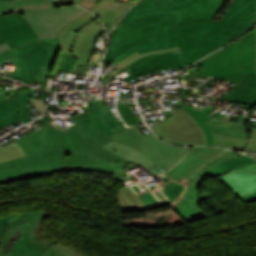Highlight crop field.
<instances>
[{
    "label": "crop field",
    "instance_id": "crop-field-1",
    "mask_svg": "<svg viewBox=\"0 0 256 256\" xmlns=\"http://www.w3.org/2000/svg\"><path fill=\"white\" fill-rule=\"evenodd\" d=\"M89 103L85 113L69 116L74 123L64 130L50 114L38 119L44 129L16 140L27 157L0 162V183L67 170L114 174L120 181L129 161L168 170L185 155L186 147L168 145L153 134L143 136L135 126L108 137L92 121L95 108Z\"/></svg>",
    "mask_w": 256,
    "mask_h": 256
},
{
    "label": "crop field",
    "instance_id": "crop-field-2",
    "mask_svg": "<svg viewBox=\"0 0 256 256\" xmlns=\"http://www.w3.org/2000/svg\"><path fill=\"white\" fill-rule=\"evenodd\" d=\"M255 9L256 0H233L220 21L172 27L168 39L177 38L184 68L253 27Z\"/></svg>",
    "mask_w": 256,
    "mask_h": 256
},
{
    "label": "crop field",
    "instance_id": "crop-field-3",
    "mask_svg": "<svg viewBox=\"0 0 256 256\" xmlns=\"http://www.w3.org/2000/svg\"><path fill=\"white\" fill-rule=\"evenodd\" d=\"M192 66H203L196 75H209L237 83L246 72L256 70V40L254 29L233 44L206 57Z\"/></svg>",
    "mask_w": 256,
    "mask_h": 256
},
{
    "label": "crop field",
    "instance_id": "crop-field-4",
    "mask_svg": "<svg viewBox=\"0 0 256 256\" xmlns=\"http://www.w3.org/2000/svg\"><path fill=\"white\" fill-rule=\"evenodd\" d=\"M226 0H142L117 24L136 21L145 17L174 15L173 24L212 20Z\"/></svg>",
    "mask_w": 256,
    "mask_h": 256
},
{
    "label": "crop field",
    "instance_id": "crop-field-5",
    "mask_svg": "<svg viewBox=\"0 0 256 256\" xmlns=\"http://www.w3.org/2000/svg\"><path fill=\"white\" fill-rule=\"evenodd\" d=\"M48 214L41 211L6 215L9 223L0 243V256H39L49 245L34 239V229Z\"/></svg>",
    "mask_w": 256,
    "mask_h": 256
},
{
    "label": "crop field",
    "instance_id": "crop-field-6",
    "mask_svg": "<svg viewBox=\"0 0 256 256\" xmlns=\"http://www.w3.org/2000/svg\"><path fill=\"white\" fill-rule=\"evenodd\" d=\"M18 68L14 78L25 83L34 79L44 83L58 49L44 44L41 40L12 49ZM29 84V85H30Z\"/></svg>",
    "mask_w": 256,
    "mask_h": 256
},
{
    "label": "crop field",
    "instance_id": "crop-field-7",
    "mask_svg": "<svg viewBox=\"0 0 256 256\" xmlns=\"http://www.w3.org/2000/svg\"><path fill=\"white\" fill-rule=\"evenodd\" d=\"M162 140L180 145H206V136L193 117L179 109L171 117L150 127Z\"/></svg>",
    "mask_w": 256,
    "mask_h": 256
},
{
    "label": "crop field",
    "instance_id": "crop-field-8",
    "mask_svg": "<svg viewBox=\"0 0 256 256\" xmlns=\"http://www.w3.org/2000/svg\"><path fill=\"white\" fill-rule=\"evenodd\" d=\"M157 21L158 17L146 18L113 29L104 61L110 62L130 48L152 41Z\"/></svg>",
    "mask_w": 256,
    "mask_h": 256
},
{
    "label": "crop field",
    "instance_id": "crop-field-9",
    "mask_svg": "<svg viewBox=\"0 0 256 256\" xmlns=\"http://www.w3.org/2000/svg\"><path fill=\"white\" fill-rule=\"evenodd\" d=\"M89 11L78 6L48 8L24 13L26 19L38 34L40 39L57 37V33L70 21Z\"/></svg>",
    "mask_w": 256,
    "mask_h": 256
},
{
    "label": "crop field",
    "instance_id": "crop-field-10",
    "mask_svg": "<svg viewBox=\"0 0 256 256\" xmlns=\"http://www.w3.org/2000/svg\"><path fill=\"white\" fill-rule=\"evenodd\" d=\"M0 34L10 48L39 39L23 13L20 12L0 16Z\"/></svg>",
    "mask_w": 256,
    "mask_h": 256
},
{
    "label": "crop field",
    "instance_id": "crop-field-11",
    "mask_svg": "<svg viewBox=\"0 0 256 256\" xmlns=\"http://www.w3.org/2000/svg\"><path fill=\"white\" fill-rule=\"evenodd\" d=\"M127 67L131 69L133 74L127 76L124 79L130 81L136 77L148 75L153 72L163 71L165 69L170 70L182 68L183 65L180 53L177 51L171 53L149 55L135 61Z\"/></svg>",
    "mask_w": 256,
    "mask_h": 256
},
{
    "label": "crop field",
    "instance_id": "crop-field-12",
    "mask_svg": "<svg viewBox=\"0 0 256 256\" xmlns=\"http://www.w3.org/2000/svg\"><path fill=\"white\" fill-rule=\"evenodd\" d=\"M238 197L256 192V163L238 167L219 177Z\"/></svg>",
    "mask_w": 256,
    "mask_h": 256
},
{
    "label": "crop field",
    "instance_id": "crop-field-13",
    "mask_svg": "<svg viewBox=\"0 0 256 256\" xmlns=\"http://www.w3.org/2000/svg\"><path fill=\"white\" fill-rule=\"evenodd\" d=\"M185 185L188 187L178 201L172 205L168 200L164 202L170 205L186 223L206 218L205 214L199 208L201 198L197 189L200 184L192 180Z\"/></svg>",
    "mask_w": 256,
    "mask_h": 256
},
{
    "label": "crop field",
    "instance_id": "crop-field-14",
    "mask_svg": "<svg viewBox=\"0 0 256 256\" xmlns=\"http://www.w3.org/2000/svg\"><path fill=\"white\" fill-rule=\"evenodd\" d=\"M100 27L98 19L81 27L77 33L75 43L72 49V55L78 58L74 71L76 70L78 64L88 65L89 59L94 49V44L97 36L102 33V29L96 30L89 38L92 31Z\"/></svg>",
    "mask_w": 256,
    "mask_h": 256
},
{
    "label": "crop field",
    "instance_id": "crop-field-15",
    "mask_svg": "<svg viewBox=\"0 0 256 256\" xmlns=\"http://www.w3.org/2000/svg\"><path fill=\"white\" fill-rule=\"evenodd\" d=\"M221 150L222 149L220 148L193 147L192 150L175 167L165 174L178 181Z\"/></svg>",
    "mask_w": 256,
    "mask_h": 256
},
{
    "label": "crop field",
    "instance_id": "crop-field-16",
    "mask_svg": "<svg viewBox=\"0 0 256 256\" xmlns=\"http://www.w3.org/2000/svg\"><path fill=\"white\" fill-rule=\"evenodd\" d=\"M173 16H162L159 18L157 31L155 35V39L153 42L142 44L137 46L123 55L117 57L114 63H118L123 57L127 56L128 54L138 51L139 53L149 51V50H156V49H163V48H171L176 47L177 41L176 39L167 40L168 34L171 28Z\"/></svg>",
    "mask_w": 256,
    "mask_h": 256
},
{
    "label": "crop field",
    "instance_id": "crop-field-17",
    "mask_svg": "<svg viewBox=\"0 0 256 256\" xmlns=\"http://www.w3.org/2000/svg\"><path fill=\"white\" fill-rule=\"evenodd\" d=\"M136 1L118 2L116 0H101L91 11L101 18L108 35L114 24Z\"/></svg>",
    "mask_w": 256,
    "mask_h": 256
},
{
    "label": "crop field",
    "instance_id": "crop-field-18",
    "mask_svg": "<svg viewBox=\"0 0 256 256\" xmlns=\"http://www.w3.org/2000/svg\"><path fill=\"white\" fill-rule=\"evenodd\" d=\"M97 18L94 14L88 13L70 23H68L59 33L58 38L42 40L44 43L62 49V51L71 55V49L74 43L75 35L79 28L91 20Z\"/></svg>",
    "mask_w": 256,
    "mask_h": 256
},
{
    "label": "crop field",
    "instance_id": "crop-field-19",
    "mask_svg": "<svg viewBox=\"0 0 256 256\" xmlns=\"http://www.w3.org/2000/svg\"><path fill=\"white\" fill-rule=\"evenodd\" d=\"M222 99L245 103L247 105L244 109L250 110L256 104V73H246V77L242 82L222 97Z\"/></svg>",
    "mask_w": 256,
    "mask_h": 256
},
{
    "label": "crop field",
    "instance_id": "crop-field-20",
    "mask_svg": "<svg viewBox=\"0 0 256 256\" xmlns=\"http://www.w3.org/2000/svg\"><path fill=\"white\" fill-rule=\"evenodd\" d=\"M55 2V0H10L0 2V15L16 11L27 12L53 7Z\"/></svg>",
    "mask_w": 256,
    "mask_h": 256
},
{
    "label": "crop field",
    "instance_id": "crop-field-21",
    "mask_svg": "<svg viewBox=\"0 0 256 256\" xmlns=\"http://www.w3.org/2000/svg\"><path fill=\"white\" fill-rule=\"evenodd\" d=\"M114 197L122 212L128 210H138L142 212L166 205L164 202H160L145 207L129 186L122 188Z\"/></svg>",
    "mask_w": 256,
    "mask_h": 256
},
{
    "label": "crop field",
    "instance_id": "crop-field-22",
    "mask_svg": "<svg viewBox=\"0 0 256 256\" xmlns=\"http://www.w3.org/2000/svg\"><path fill=\"white\" fill-rule=\"evenodd\" d=\"M247 119V117L241 116L237 124L214 119H211L207 123L209 124L212 133L247 139L246 131L244 129V123Z\"/></svg>",
    "mask_w": 256,
    "mask_h": 256
},
{
    "label": "crop field",
    "instance_id": "crop-field-23",
    "mask_svg": "<svg viewBox=\"0 0 256 256\" xmlns=\"http://www.w3.org/2000/svg\"><path fill=\"white\" fill-rule=\"evenodd\" d=\"M181 108H183L184 110H186L187 112H189L191 115H193V117L196 119V121L199 123V125L202 127V129L204 130L206 136H207V145L209 146H213V137H212V133L209 129V126L207 125V121L210 120L211 118L205 116L206 114H208L209 112H211V110L214 108L212 106H208L206 107L204 110L200 111L198 109H195L193 107H189L187 105H183Z\"/></svg>",
    "mask_w": 256,
    "mask_h": 256
},
{
    "label": "crop field",
    "instance_id": "crop-field-24",
    "mask_svg": "<svg viewBox=\"0 0 256 256\" xmlns=\"http://www.w3.org/2000/svg\"><path fill=\"white\" fill-rule=\"evenodd\" d=\"M99 107V115L107 127L113 131L114 133L125 129V127L121 124V122L114 116L111 111L110 100L107 102H103L98 104Z\"/></svg>",
    "mask_w": 256,
    "mask_h": 256
},
{
    "label": "crop field",
    "instance_id": "crop-field-25",
    "mask_svg": "<svg viewBox=\"0 0 256 256\" xmlns=\"http://www.w3.org/2000/svg\"><path fill=\"white\" fill-rule=\"evenodd\" d=\"M14 104L15 99L0 101V128L20 121V118L14 109Z\"/></svg>",
    "mask_w": 256,
    "mask_h": 256
},
{
    "label": "crop field",
    "instance_id": "crop-field-26",
    "mask_svg": "<svg viewBox=\"0 0 256 256\" xmlns=\"http://www.w3.org/2000/svg\"><path fill=\"white\" fill-rule=\"evenodd\" d=\"M29 89H23V90H18L17 91V97H16V105L15 108L20 115L22 121L26 124L32 119H30L27 115L33 113L28 107H26L25 103L28 101L29 97L32 98H37L31 96L32 93L34 92V89H31L30 92H28Z\"/></svg>",
    "mask_w": 256,
    "mask_h": 256
},
{
    "label": "crop field",
    "instance_id": "crop-field-27",
    "mask_svg": "<svg viewBox=\"0 0 256 256\" xmlns=\"http://www.w3.org/2000/svg\"><path fill=\"white\" fill-rule=\"evenodd\" d=\"M253 162H256V160H254L248 156L233 158L231 160H228V161L222 163L215 169H213L209 175L216 178V177L223 175L224 173H226L227 171H229L231 169H234L241 165L253 163Z\"/></svg>",
    "mask_w": 256,
    "mask_h": 256
},
{
    "label": "crop field",
    "instance_id": "crop-field-28",
    "mask_svg": "<svg viewBox=\"0 0 256 256\" xmlns=\"http://www.w3.org/2000/svg\"><path fill=\"white\" fill-rule=\"evenodd\" d=\"M24 156L21 146L15 141L4 147L0 145V161L2 162Z\"/></svg>",
    "mask_w": 256,
    "mask_h": 256
},
{
    "label": "crop field",
    "instance_id": "crop-field-29",
    "mask_svg": "<svg viewBox=\"0 0 256 256\" xmlns=\"http://www.w3.org/2000/svg\"><path fill=\"white\" fill-rule=\"evenodd\" d=\"M213 137H214V146H220V147L229 148V149L238 148L242 150L245 143L248 141L245 139L221 136L216 134H213Z\"/></svg>",
    "mask_w": 256,
    "mask_h": 256
},
{
    "label": "crop field",
    "instance_id": "crop-field-30",
    "mask_svg": "<svg viewBox=\"0 0 256 256\" xmlns=\"http://www.w3.org/2000/svg\"><path fill=\"white\" fill-rule=\"evenodd\" d=\"M40 256H81L73 249L63 245H51L45 252Z\"/></svg>",
    "mask_w": 256,
    "mask_h": 256
},
{
    "label": "crop field",
    "instance_id": "crop-field-31",
    "mask_svg": "<svg viewBox=\"0 0 256 256\" xmlns=\"http://www.w3.org/2000/svg\"><path fill=\"white\" fill-rule=\"evenodd\" d=\"M176 50H179L178 47L177 48H171V49H164V50H156V51H150V52H145V53H133L125 58H123L116 66L113 67V69L117 68V69H122L124 68L126 65L134 62L135 60H137L138 58L140 57H143V56H146V55H149V54H153V53H159V52H170V51H176Z\"/></svg>",
    "mask_w": 256,
    "mask_h": 256
},
{
    "label": "crop field",
    "instance_id": "crop-field-32",
    "mask_svg": "<svg viewBox=\"0 0 256 256\" xmlns=\"http://www.w3.org/2000/svg\"><path fill=\"white\" fill-rule=\"evenodd\" d=\"M238 156H244L238 152L232 154V155H228L225 156L217 161H214L212 163H210L206 168H204V170L202 172H200L193 180L199 182L200 184L202 183L203 179L205 177H207V175L210 173V171L215 168L216 166H218L219 164H221L222 162L232 158V157H238Z\"/></svg>",
    "mask_w": 256,
    "mask_h": 256
},
{
    "label": "crop field",
    "instance_id": "crop-field-33",
    "mask_svg": "<svg viewBox=\"0 0 256 256\" xmlns=\"http://www.w3.org/2000/svg\"><path fill=\"white\" fill-rule=\"evenodd\" d=\"M234 153V151L228 150V149H224L222 150L220 153H218L216 156H214L212 159H210L209 161H207L206 163H204L202 166H200L199 168H197L196 170H194L193 172H191L190 174L186 175L185 177H183L181 180H179V182L181 183H186L187 181L193 179L205 166H207L210 162L217 160L225 155L228 154H232Z\"/></svg>",
    "mask_w": 256,
    "mask_h": 256
},
{
    "label": "crop field",
    "instance_id": "crop-field-34",
    "mask_svg": "<svg viewBox=\"0 0 256 256\" xmlns=\"http://www.w3.org/2000/svg\"><path fill=\"white\" fill-rule=\"evenodd\" d=\"M117 109L122 119L128 126L138 123L133 113L130 111L128 103H117Z\"/></svg>",
    "mask_w": 256,
    "mask_h": 256
},
{
    "label": "crop field",
    "instance_id": "crop-field-35",
    "mask_svg": "<svg viewBox=\"0 0 256 256\" xmlns=\"http://www.w3.org/2000/svg\"><path fill=\"white\" fill-rule=\"evenodd\" d=\"M165 189H162V191L164 192V194L169 198V200L171 202H174L175 198L180 195V193L182 192V190L184 189V185H180L174 181H171L167 184H165Z\"/></svg>",
    "mask_w": 256,
    "mask_h": 256
},
{
    "label": "crop field",
    "instance_id": "crop-field-36",
    "mask_svg": "<svg viewBox=\"0 0 256 256\" xmlns=\"http://www.w3.org/2000/svg\"><path fill=\"white\" fill-rule=\"evenodd\" d=\"M74 62H75V59L61 52L57 65L55 67L54 73L51 77H54L57 70H71Z\"/></svg>",
    "mask_w": 256,
    "mask_h": 256
},
{
    "label": "crop field",
    "instance_id": "crop-field-37",
    "mask_svg": "<svg viewBox=\"0 0 256 256\" xmlns=\"http://www.w3.org/2000/svg\"><path fill=\"white\" fill-rule=\"evenodd\" d=\"M94 104H95V108H96V111H93V115L95 117L94 119V122L96 123V125L103 131L105 132L106 134L110 135V134H113V132H111L106 126L105 124L102 122V120L100 119L99 115H98V108H97V104H98V101H94Z\"/></svg>",
    "mask_w": 256,
    "mask_h": 256
},
{
    "label": "crop field",
    "instance_id": "crop-field-38",
    "mask_svg": "<svg viewBox=\"0 0 256 256\" xmlns=\"http://www.w3.org/2000/svg\"><path fill=\"white\" fill-rule=\"evenodd\" d=\"M256 151V135L252 133L251 139L247 142L243 152Z\"/></svg>",
    "mask_w": 256,
    "mask_h": 256
},
{
    "label": "crop field",
    "instance_id": "crop-field-39",
    "mask_svg": "<svg viewBox=\"0 0 256 256\" xmlns=\"http://www.w3.org/2000/svg\"><path fill=\"white\" fill-rule=\"evenodd\" d=\"M139 197L144 202L145 205H149V203H152V202L154 203L158 202L151 192L141 194L139 195Z\"/></svg>",
    "mask_w": 256,
    "mask_h": 256
},
{
    "label": "crop field",
    "instance_id": "crop-field-40",
    "mask_svg": "<svg viewBox=\"0 0 256 256\" xmlns=\"http://www.w3.org/2000/svg\"><path fill=\"white\" fill-rule=\"evenodd\" d=\"M29 101L35 105L40 111H42L44 114L48 113L49 111H47L44 107L47 106L45 105V101L41 100V99H32L30 98Z\"/></svg>",
    "mask_w": 256,
    "mask_h": 256
},
{
    "label": "crop field",
    "instance_id": "crop-field-41",
    "mask_svg": "<svg viewBox=\"0 0 256 256\" xmlns=\"http://www.w3.org/2000/svg\"><path fill=\"white\" fill-rule=\"evenodd\" d=\"M99 0H82L79 6L91 9L94 5H96Z\"/></svg>",
    "mask_w": 256,
    "mask_h": 256
},
{
    "label": "crop field",
    "instance_id": "crop-field-42",
    "mask_svg": "<svg viewBox=\"0 0 256 256\" xmlns=\"http://www.w3.org/2000/svg\"><path fill=\"white\" fill-rule=\"evenodd\" d=\"M7 57L15 58L10 49L0 54V66L3 65Z\"/></svg>",
    "mask_w": 256,
    "mask_h": 256
},
{
    "label": "crop field",
    "instance_id": "crop-field-43",
    "mask_svg": "<svg viewBox=\"0 0 256 256\" xmlns=\"http://www.w3.org/2000/svg\"><path fill=\"white\" fill-rule=\"evenodd\" d=\"M7 223L8 222L5 217H0V242L2 241V235Z\"/></svg>",
    "mask_w": 256,
    "mask_h": 256
},
{
    "label": "crop field",
    "instance_id": "crop-field-44",
    "mask_svg": "<svg viewBox=\"0 0 256 256\" xmlns=\"http://www.w3.org/2000/svg\"><path fill=\"white\" fill-rule=\"evenodd\" d=\"M147 171L150 172L151 174L155 175L158 173L165 172L166 170H164L163 168H161L160 166L155 164L152 168L148 169Z\"/></svg>",
    "mask_w": 256,
    "mask_h": 256
},
{
    "label": "crop field",
    "instance_id": "crop-field-45",
    "mask_svg": "<svg viewBox=\"0 0 256 256\" xmlns=\"http://www.w3.org/2000/svg\"><path fill=\"white\" fill-rule=\"evenodd\" d=\"M244 203L256 201V193L240 198Z\"/></svg>",
    "mask_w": 256,
    "mask_h": 256
},
{
    "label": "crop field",
    "instance_id": "crop-field-46",
    "mask_svg": "<svg viewBox=\"0 0 256 256\" xmlns=\"http://www.w3.org/2000/svg\"><path fill=\"white\" fill-rule=\"evenodd\" d=\"M60 1L76 4V5H79V3L81 2V0H60Z\"/></svg>",
    "mask_w": 256,
    "mask_h": 256
},
{
    "label": "crop field",
    "instance_id": "crop-field-47",
    "mask_svg": "<svg viewBox=\"0 0 256 256\" xmlns=\"http://www.w3.org/2000/svg\"><path fill=\"white\" fill-rule=\"evenodd\" d=\"M7 49H9V46L7 45V43L0 45V53L7 50Z\"/></svg>",
    "mask_w": 256,
    "mask_h": 256
},
{
    "label": "crop field",
    "instance_id": "crop-field-48",
    "mask_svg": "<svg viewBox=\"0 0 256 256\" xmlns=\"http://www.w3.org/2000/svg\"><path fill=\"white\" fill-rule=\"evenodd\" d=\"M118 71H119V70H118ZM118 71L112 70L111 73H110V75H109V78H110L114 73H116V72H118ZM109 78H108V79H109ZM107 81H108V80H103L102 84H106Z\"/></svg>",
    "mask_w": 256,
    "mask_h": 256
},
{
    "label": "crop field",
    "instance_id": "crop-field-49",
    "mask_svg": "<svg viewBox=\"0 0 256 256\" xmlns=\"http://www.w3.org/2000/svg\"><path fill=\"white\" fill-rule=\"evenodd\" d=\"M160 177H161V179H162V181H163L164 183L170 181V179L167 178V177H165V176H160ZM164 183L160 184L159 186L163 185Z\"/></svg>",
    "mask_w": 256,
    "mask_h": 256
},
{
    "label": "crop field",
    "instance_id": "crop-field-50",
    "mask_svg": "<svg viewBox=\"0 0 256 256\" xmlns=\"http://www.w3.org/2000/svg\"><path fill=\"white\" fill-rule=\"evenodd\" d=\"M154 193H155V195L158 197L159 200H162V199L165 198V197L162 196L158 191H156V192H154Z\"/></svg>",
    "mask_w": 256,
    "mask_h": 256
},
{
    "label": "crop field",
    "instance_id": "crop-field-51",
    "mask_svg": "<svg viewBox=\"0 0 256 256\" xmlns=\"http://www.w3.org/2000/svg\"><path fill=\"white\" fill-rule=\"evenodd\" d=\"M136 192L140 191V188L137 185L131 186Z\"/></svg>",
    "mask_w": 256,
    "mask_h": 256
},
{
    "label": "crop field",
    "instance_id": "crop-field-52",
    "mask_svg": "<svg viewBox=\"0 0 256 256\" xmlns=\"http://www.w3.org/2000/svg\"><path fill=\"white\" fill-rule=\"evenodd\" d=\"M14 74H15L14 71H9L7 75L13 77Z\"/></svg>",
    "mask_w": 256,
    "mask_h": 256
},
{
    "label": "crop field",
    "instance_id": "crop-field-53",
    "mask_svg": "<svg viewBox=\"0 0 256 256\" xmlns=\"http://www.w3.org/2000/svg\"><path fill=\"white\" fill-rule=\"evenodd\" d=\"M248 128H250V129H251V131H252V132H254V133L256 134V129H255V128L250 127V126H248Z\"/></svg>",
    "mask_w": 256,
    "mask_h": 256
},
{
    "label": "crop field",
    "instance_id": "crop-field-54",
    "mask_svg": "<svg viewBox=\"0 0 256 256\" xmlns=\"http://www.w3.org/2000/svg\"><path fill=\"white\" fill-rule=\"evenodd\" d=\"M248 155H253V158L256 159V153H247Z\"/></svg>",
    "mask_w": 256,
    "mask_h": 256
},
{
    "label": "crop field",
    "instance_id": "crop-field-55",
    "mask_svg": "<svg viewBox=\"0 0 256 256\" xmlns=\"http://www.w3.org/2000/svg\"><path fill=\"white\" fill-rule=\"evenodd\" d=\"M139 104H144V103H148L147 100L144 101H138Z\"/></svg>",
    "mask_w": 256,
    "mask_h": 256
},
{
    "label": "crop field",
    "instance_id": "crop-field-56",
    "mask_svg": "<svg viewBox=\"0 0 256 256\" xmlns=\"http://www.w3.org/2000/svg\"><path fill=\"white\" fill-rule=\"evenodd\" d=\"M5 40L2 38V36L0 35V43H4Z\"/></svg>",
    "mask_w": 256,
    "mask_h": 256
},
{
    "label": "crop field",
    "instance_id": "crop-field-57",
    "mask_svg": "<svg viewBox=\"0 0 256 256\" xmlns=\"http://www.w3.org/2000/svg\"><path fill=\"white\" fill-rule=\"evenodd\" d=\"M133 166H135V165H133V164L130 163V165L127 167L126 170H128L129 168H131V167H133Z\"/></svg>",
    "mask_w": 256,
    "mask_h": 256
},
{
    "label": "crop field",
    "instance_id": "crop-field-58",
    "mask_svg": "<svg viewBox=\"0 0 256 256\" xmlns=\"http://www.w3.org/2000/svg\"><path fill=\"white\" fill-rule=\"evenodd\" d=\"M141 186L145 189V191H148L144 185H141Z\"/></svg>",
    "mask_w": 256,
    "mask_h": 256
},
{
    "label": "crop field",
    "instance_id": "crop-field-59",
    "mask_svg": "<svg viewBox=\"0 0 256 256\" xmlns=\"http://www.w3.org/2000/svg\"><path fill=\"white\" fill-rule=\"evenodd\" d=\"M126 180H127V178L124 177L122 182H124V181H126Z\"/></svg>",
    "mask_w": 256,
    "mask_h": 256
},
{
    "label": "crop field",
    "instance_id": "crop-field-60",
    "mask_svg": "<svg viewBox=\"0 0 256 256\" xmlns=\"http://www.w3.org/2000/svg\"><path fill=\"white\" fill-rule=\"evenodd\" d=\"M156 185H152V186H149L150 188H153V187H155Z\"/></svg>",
    "mask_w": 256,
    "mask_h": 256
},
{
    "label": "crop field",
    "instance_id": "crop-field-61",
    "mask_svg": "<svg viewBox=\"0 0 256 256\" xmlns=\"http://www.w3.org/2000/svg\"><path fill=\"white\" fill-rule=\"evenodd\" d=\"M118 1H128V0H118Z\"/></svg>",
    "mask_w": 256,
    "mask_h": 256
},
{
    "label": "crop field",
    "instance_id": "crop-field-62",
    "mask_svg": "<svg viewBox=\"0 0 256 256\" xmlns=\"http://www.w3.org/2000/svg\"><path fill=\"white\" fill-rule=\"evenodd\" d=\"M126 174H127V173H126V171H125L123 175H125V176H126Z\"/></svg>",
    "mask_w": 256,
    "mask_h": 256
},
{
    "label": "crop field",
    "instance_id": "crop-field-63",
    "mask_svg": "<svg viewBox=\"0 0 256 256\" xmlns=\"http://www.w3.org/2000/svg\"><path fill=\"white\" fill-rule=\"evenodd\" d=\"M255 33H256V27H255Z\"/></svg>",
    "mask_w": 256,
    "mask_h": 256
},
{
    "label": "crop field",
    "instance_id": "crop-field-64",
    "mask_svg": "<svg viewBox=\"0 0 256 256\" xmlns=\"http://www.w3.org/2000/svg\"><path fill=\"white\" fill-rule=\"evenodd\" d=\"M255 24H256V19H255Z\"/></svg>",
    "mask_w": 256,
    "mask_h": 256
},
{
    "label": "crop field",
    "instance_id": "crop-field-65",
    "mask_svg": "<svg viewBox=\"0 0 256 256\" xmlns=\"http://www.w3.org/2000/svg\"><path fill=\"white\" fill-rule=\"evenodd\" d=\"M0 1H5V0H0Z\"/></svg>",
    "mask_w": 256,
    "mask_h": 256
}]
</instances>
